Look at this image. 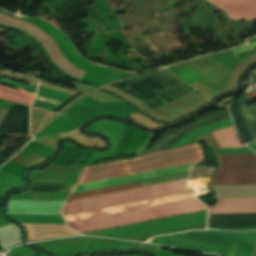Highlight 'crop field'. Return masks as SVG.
Listing matches in <instances>:
<instances>
[{"label": "crop field", "instance_id": "crop-field-1", "mask_svg": "<svg viewBox=\"0 0 256 256\" xmlns=\"http://www.w3.org/2000/svg\"><path fill=\"white\" fill-rule=\"evenodd\" d=\"M201 160L202 157L200 150L197 144H195L192 146H187L174 150H165L145 155L137 159L119 161L85 168L84 171L82 170L83 172L79 178L78 184L196 163Z\"/></svg>", "mask_w": 256, "mask_h": 256}, {"label": "crop field", "instance_id": "crop-field-2", "mask_svg": "<svg viewBox=\"0 0 256 256\" xmlns=\"http://www.w3.org/2000/svg\"><path fill=\"white\" fill-rule=\"evenodd\" d=\"M148 242L177 246L228 256H254L256 231L246 233L190 231L151 238Z\"/></svg>", "mask_w": 256, "mask_h": 256}, {"label": "crop field", "instance_id": "crop-field-3", "mask_svg": "<svg viewBox=\"0 0 256 256\" xmlns=\"http://www.w3.org/2000/svg\"><path fill=\"white\" fill-rule=\"evenodd\" d=\"M206 209L196 199L67 223L79 233Z\"/></svg>", "mask_w": 256, "mask_h": 256}, {"label": "crop field", "instance_id": "crop-field-4", "mask_svg": "<svg viewBox=\"0 0 256 256\" xmlns=\"http://www.w3.org/2000/svg\"><path fill=\"white\" fill-rule=\"evenodd\" d=\"M186 181L187 179L69 201L63 207L62 213L63 215H66L161 196L188 192L189 189L186 186Z\"/></svg>", "mask_w": 256, "mask_h": 256}, {"label": "crop field", "instance_id": "crop-field-5", "mask_svg": "<svg viewBox=\"0 0 256 256\" xmlns=\"http://www.w3.org/2000/svg\"><path fill=\"white\" fill-rule=\"evenodd\" d=\"M213 186L256 184V154L219 155Z\"/></svg>", "mask_w": 256, "mask_h": 256}, {"label": "crop field", "instance_id": "crop-field-6", "mask_svg": "<svg viewBox=\"0 0 256 256\" xmlns=\"http://www.w3.org/2000/svg\"><path fill=\"white\" fill-rule=\"evenodd\" d=\"M193 198L194 197L192 196V194L190 192H188V193L177 194V195H172V196H167V197H161V198H156V199H151V200H146V201H140V202H135V203H130V204L108 207V208H103V209H98V210H93V211H87V212H82V213H77V214L66 215V216H64V218H65L66 222H69V221H75V220H80V219H85V218H91V217H96V216H101V215L118 213V212L134 210V209H139V208H144V207H150V206H155V205H161V204L177 202V201L193 199Z\"/></svg>", "mask_w": 256, "mask_h": 256}, {"label": "crop field", "instance_id": "crop-field-7", "mask_svg": "<svg viewBox=\"0 0 256 256\" xmlns=\"http://www.w3.org/2000/svg\"><path fill=\"white\" fill-rule=\"evenodd\" d=\"M193 165H195V164L179 166V167H174V168H168V169H162V170H157V171H151V172H146V173H140V174H135V175H129V176H124V177H118V178H113V179L101 180V181H96V182H90V183H85V184H79L75 187L73 192H79V191H84V190H89V189H95V188H100V187L116 185V184L144 180V179L160 177V176H165V175H171V174H176V173H181V172H187V171H189V168L192 167Z\"/></svg>", "mask_w": 256, "mask_h": 256}, {"label": "crop field", "instance_id": "crop-field-8", "mask_svg": "<svg viewBox=\"0 0 256 256\" xmlns=\"http://www.w3.org/2000/svg\"><path fill=\"white\" fill-rule=\"evenodd\" d=\"M256 212V198L218 199L209 214L252 213Z\"/></svg>", "mask_w": 256, "mask_h": 256}, {"label": "crop field", "instance_id": "crop-field-9", "mask_svg": "<svg viewBox=\"0 0 256 256\" xmlns=\"http://www.w3.org/2000/svg\"><path fill=\"white\" fill-rule=\"evenodd\" d=\"M215 4L256 5V0H208ZM233 19H256V6L218 5Z\"/></svg>", "mask_w": 256, "mask_h": 256}, {"label": "crop field", "instance_id": "crop-field-10", "mask_svg": "<svg viewBox=\"0 0 256 256\" xmlns=\"http://www.w3.org/2000/svg\"><path fill=\"white\" fill-rule=\"evenodd\" d=\"M252 141L256 142V104L248 107L245 96L238 99Z\"/></svg>", "mask_w": 256, "mask_h": 256}, {"label": "crop field", "instance_id": "crop-field-11", "mask_svg": "<svg viewBox=\"0 0 256 256\" xmlns=\"http://www.w3.org/2000/svg\"><path fill=\"white\" fill-rule=\"evenodd\" d=\"M220 147H245L237 137L234 127L217 130L212 133Z\"/></svg>", "mask_w": 256, "mask_h": 256}, {"label": "crop field", "instance_id": "crop-field-12", "mask_svg": "<svg viewBox=\"0 0 256 256\" xmlns=\"http://www.w3.org/2000/svg\"><path fill=\"white\" fill-rule=\"evenodd\" d=\"M231 125H233V124H232L231 120L229 119V120H226V121H223V122L211 125V126H207V127H204V128L197 129V130L189 133L185 138L181 139L179 142H177L171 149L186 146L190 142H192L193 140H195V139H197V138H199V137H201V136H203L207 133H210L214 130L221 129V128H224V127H228V126H231Z\"/></svg>", "mask_w": 256, "mask_h": 256}, {"label": "crop field", "instance_id": "crop-field-13", "mask_svg": "<svg viewBox=\"0 0 256 256\" xmlns=\"http://www.w3.org/2000/svg\"><path fill=\"white\" fill-rule=\"evenodd\" d=\"M34 94L10 89L7 87L0 86V98L25 104V105H31L33 100ZM35 98V97H34Z\"/></svg>", "mask_w": 256, "mask_h": 256}, {"label": "crop field", "instance_id": "crop-field-14", "mask_svg": "<svg viewBox=\"0 0 256 256\" xmlns=\"http://www.w3.org/2000/svg\"><path fill=\"white\" fill-rule=\"evenodd\" d=\"M167 69L178 75L182 80H184L189 85L205 78L185 63L171 66Z\"/></svg>", "mask_w": 256, "mask_h": 256}, {"label": "crop field", "instance_id": "crop-field-15", "mask_svg": "<svg viewBox=\"0 0 256 256\" xmlns=\"http://www.w3.org/2000/svg\"><path fill=\"white\" fill-rule=\"evenodd\" d=\"M131 188H135L133 183L122 185V186H115V187L103 188V189H98V190H91V191L73 193V194L70 195L68 201L69 200H74V199H79V198H85V197L100 195V194H105V193H110V192H115V191L131 189Z\"/></svg>", "mask_w": 256, "mask_h": 256}, {"label": "crop field", "instance_id": "crop-field-16", "mask_svg": "<svg viewBox=\"0 0 256 256\" xmlns=\"http://www.w3.org/2000/svg\"><path fill=\"white\" fill-rule=\"evenodd\" d=\"M11 160H14L16 162H19L21 164L31 167V166L43 163L47 159L22 150L18 155L13 157Z\"/></svg>", "mask_w": 256, "mask_h": 256}, {"label": "crop field", "instance_id": "crop-field-17", "mask_svg": "<svg viewBox=\"0 0 256 256\" xmlns=\"http://www.w3.org/2000/svg\"><path fill=\"white\" fill-rule=\"evenodd\" d=\"M47 112L31 108V134L33 135L41 121Z\"/></svg>", "mask_w": 256, "mask_h": 256}, {"label": "crop field", "instance_id": "crop-field-18", "mask_svg": "<svg viewBox=\"0 0 256 256\" xmlns=\"http://www.w3.org/2000/svg\"><path fill=\"white\" fill-rule=\"evenodd\" d=\"M226 113H228L227 110L222 111V112H220V113H217V114H214V115H212V116H209V117H207V118H205V119H203V120H201V121H199V122H196V123H194V124H192V125H190V126H193V125H195V124H198V123H200V122H202V121H204V120L210 119V118H212V117H214V116L221 115V114H226ZM190 126H188V127H190ZM188 127H186V128H188ZM186 128H184V129H186ZM184 129H182V130H184ZM182 130H179V131H177V132H175V133H173V134H170V135H168V136H166V137H162V138L158 139V140L152 145V147L150 148V150H149L146 154H149V153L154 152V151L157 149V147H158L162 142H164L165 140H167L168 138H170L171 136L177 134L178 132H180V131H182Z\"/></svg>", "mask_w": 256, "mask_h": 256}, {"label": "crop field", "instance_id": "crop-field-19", "mask_svg": "<svg viewBox=\"0 0 256 256\" xmlns=\"http://www.w3.org/2000/svg\"><path fill=\"white\" fill-rule=\"evenodd\" d=\"M217 154L253 153L247 148L215 149Z\"/></svg>", "mask_w": 256, "mask_h": 256}, {"label": "crop field", "instance_id": "crop-field-20", "mask_svg": "<svg viewBox=\"0 0 256 256\" xmlns=\"http://www.w3.org/2000/svg\"><path fill=\"white\" fill-rule=\"evenodd\" d=\"M248 44L249 45L239 46V47L232 49L234 54L254 48L256 46V41L249 42Z\"/></svg>", "mask_w": 256, "mask_h": 256}, {"label": "crop field", "instance_id": "crop-field-21", "mask_svg": "<svg viewBox=\"0 0 256 256\" xmlns=\"http://www.w3.org/2000/svg\"><path fill=\"white\" fill-rule=\"evenodd\" d=\"M8 214L61 215V214H47V213H21V212H8Z\"/></svg>", "mask_w": 256, "mask_h": 256}, {"label": "crop field", "instance_id": "crop-field-22", "mask_svg": "<svg viewBox=\"0 0 256 256\" xmlns=\"http://www.w3.org/2000/svg\"><path fill=\"white\" fill-rule=\"evenodd\" d=\"M214 229H222V230H249V229H256V227L253 228H215V227H210Z\"/></svg>", "mask_w": 256, "mask_h": 256}, {"label": "crop field", "instance_id": "crop-field-23", "mask_svg": "<svg viewBox=\"0 0 256 256\" xmlns=\"http://www.w3.org/2000/svg\"><path fill=\"white\" fill-rule=\"evenodd\" d=\"M36 99H37V100H40V101H42V102H46V103H48L49 101H51V100H49V99H45V98H42V97H40V96H37ZM51 103L58 104V102H54V101H52ZM49 104H50V103H49ZM60 104H61V103H60ZM60 104H58L57 106H59ZM53 105H54V104H53Z\"/></svg>", "mask_w": 256, "mask_h": 256}, {"label": "crop field", "instance_id": "crop-field-24", "mask_svg": "<svg viewBox=\"0 0 256 256\" xmlns=\"http://www.w3.org/2000/svg\"><path fill=\"white\" fill-rule=\"evenodd\" d=\"M246 96H247V100H250L256 96V91L248 93V94H246Z\"/></svg>", "mask_w": 256, "mask_h": 256}, {"label": "crop field", "instance_id": "crop-field-25", "mask_svg": "<svg viewBox=\"0 0 256 256\" xmlns=\"http://www.w3.org/2000/svg\"><path fill=\"white\" fill-rule=\"evenodd\" d=\"M7 110H8V109H7ZM7 110L2 111V113H1V115H0V123H1V121L4 119Z\"/></svg>", "mask_w": 256, "mask_h": 256}, {"label": "crop field", "instance_id": "crop-field-26", "mask_svg": "<svg viewBox=\"0 0 256 256\" xmlns=\"http://www.w3.org/2000/svg\"><path fill=\"white\" fill-rule=\"evenodd\" d=\"M248 146L256 152V144H250Z\"/></svg>", "mask_w": 256, "mask_h": 256}, {"label": "crop field", "instance_id": "crop-field-27", "mask_svg": "<svg viewBox=\"0 0 256 256\" xmlns=\"http://www.w3.org/2000/svg\"><path fill=\"white\" fill-rule=\"evenodd\" d=\"M0 31H2V29H0ZM4 32V31H3ZM0 33H2V32H0Z\"/></svg>", "mask_w": 256, "mask_h": 256}, {"label": "crop field", "instance_id": "crop-field-28", "mask_svg": "<svg viewBox=\"0 0 256 256\" xmlns=\"http://www.w3.org/2000/svg\"><path fill=\"white\" fill-rule=\"evenodd\" d=\"M256 37V36H255Z\"/></svg>", "mask_w": 256, "mask_h": 256}]
</instances>
